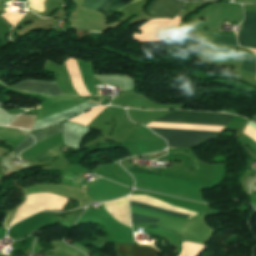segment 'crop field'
<instances>
[{
    "instance_id": "crop-field-1",
    "label": "crop field",
    "mask_w": 256,
    "mask_h": 256,
    "mask_svg": "<svg viewBox=\"0 0 256 256\" xmlns=\"http://www.w3.org/2000/svg\"><path fill=\"white\" fill-rule=\"evenodd\" d=\"M232 117L233 115L228 114L174 111L156 121L226 126ZM150 128L166 139L168 141V146L175 148L193 147L203 140L215 137L219 133L212 131Z\"/></svg>"
},
{
    "instance_id": "crop-field-2",
    "label": "crop field",
    "mask_w": 256,
    "mask_h": 256,
    "mask_svg": "<svg viewBox=\"0 0 256 256\" xmlns=\"http://www.w3.org/2000/svg\"><path fill=\"white\" fill-rule=\"evenodd\" d=\"M105 107L106 106L93 108L90 111L86 112L85 114L70 121L87 125ZM70 121L60 125L50 127L46 130L31 131L30 134H32L33 137H35V143H36L54 133L64 132L63 144H67L69 146L79 148L82 138L90 132V128L84 125L72 123ZM59 149H60V146L55 147L33 160L53 159L54 157L57 156Z\"/></svg>"
},
{
    "instance_id": "crop-field-3",
    "label": "crop field",
    "mask_w": 256,
    "mask_h": 256,
    "mask_svg": "<svg viewBox=\"0 0 256 256\" xmlns=\"http://www.w3.org/2000/svg\"><path fill=\"white\" fill-rule=\"evenodd\" d=\"M212 44L237 45L236 38L218 35ZM255 55L245 48L220 46L212 63L234 61L238 56ZM242 70L256 74V56H246Z\"/></svg>"
},
{
    "instance_id": "crop-field-4",
    "label": "crop field",
    "mask_w": 256,
    "mask_h": 256,
    "mask_svg": "<svg viewBox=\"0 0 256 256\" xmlns=\"http://www.w3.org/2000/svg\"><path fill=\"white\" fill-rule=\"evenodd\" d=\"M11 88L14 90L23 91V92H36L44 96H53V95L62 94L56 82L28 80V81L20 82L12 86Z\"/></svg>"
},
{
    "instance_id": "crop-field-5",
    "label": "crop field",
    "mask_w": 256,
    "mask_h": 256,
    "mask_svg": "<svg viewBox=\"0 0 256 256\" xmlns=\"http://www.w3.org/2000/svg\"><path fill=\"white\" fill-rule=\"evenodd\" d=\"M182 1L178 0H153L148 6L147 13L152 17H174L182 6Z\"/></svg>"
},
{
    "instance_id": "crop-field-6",
    "label": "crop field",
    "mask_w": 256,
    "mask_h": 256,
    "mask_svg": "<svg viewBox=\"0 0 256 256\" xmlns=\"http://www.w3.org/2000/svg\"><path fill=\"white\" fill-rule=\"evenodd\" d=\"M241 35H256V12L245 13ZM240 46L256 48V36L237 37Z\"/></svg>"
},
{
    "instance_id": "crop-field-7",
    "label": "crop field",
    "mask_w": 256,
    "mask_h": 256,
    "mask_svg": "<svg viewBox=\"0 0 256 256\" xmlns=\"http://www.w3.org/2000/svg\"><path fill=\"white\" fill-rule=\"evenodd\" d=\"M90 102H94V101H90ZM96 103H98V102H96ZM91 104H93V103L84 102V103H82V104H79V105H77V106H74V107H72V108H69V109H67V110H64V111H62V112H59V113H56V114H54V115H51V116L42 118V119H40V120H37L36 123H35V125H39V124H42V123H44V122H46V121H49V120H52V119L61 117V116L65 115V114H68V113H70V112L76 111V110H78V109H80V108H83V107L88 106V105H91ZM95 105H97V104H94V105L85 107V108H83V109H81V110H78V111L73 112V113H71V114L65 115V116H63V117H61V118H58V119L49 121V122H47V123H45V124H43V125L33 126V128H40V127H43V126L51 125L52 123H56V122H59V121L68 119V118H70V117H72V116H74V115H76V114H78V113H81V112H83V111H85V110H87V109H89L90 107L95 106Z\"/></svg>"
},
{
    "instance_id": "crop-field-8",
    "label": "crop field",
    "mask_w": 256,
    "mask_h": 256,
    "mask_svg": "<svg viewBox=\"0 0 256 256\" xmlns=\"http://www.w3.org/2000/svg\"><path fill=\"white\" fill-rule=\"evenodd\" d=\"M117 253L130 256H154L157 251L153 248H145L130 244L116 243Z\"/></svg>"
},
{
    "instance_id": "crop-field-9",
    "label": "crop field",
    "mask_w": 256,
    "mask_h": 256,
    "mask_svg": "<svg viewBox=\"0 0 256 256\" xmlns=\"http://www.w3.org/2000/svg\"><path fill=\"white\" fill-rule=\"evenodd\" d=\"M130 204L140 206V207H144V208H148V209H152V210H156V211H160V212L170 214V215L179 216V217L187 218L189 216V215H185V214H182V213L174 212V211L163 209V208H158V207H153V206H148V205H143V204H137V203H132V202H130ZM190 217H192V216H190ZM131 220H132V224L156 223L157 221H159L158 219L149 218V217H145V216H140V215H136V214H132V213H131Z\"/></svg>"
},
{
    "instance_id": "crop-field-10",
    "label": "crop field",
    "mask_w": 256,
    "mask_h": 256,
    "mask_svg": "<svg viewBox=\"0 0 256 256\" xmlns=\"http://www.w3.org/2000/svg\"><path fill=\"white\" fill-rule=\"evenodd\" d=\"M107 0H84L83 6L98 9L101 5H103ZM122 0H108L103 6H101L98 10L111 15L109 12L112 8H114L118 3Z\"/></svg>"
},
{
    "instance_id": "crop-field-11",
    "label": "crop field",
    "mask_w": 256,
    "mask_h": 256,
    "mask_svg": "<svg viewBox=\"0 0 256 256\" xmlns=\"http://www.w3.org/2000/svg\"><path fill=\"white\" fill-rule=\"evenodd\" d=\"M33 139L30 135H27V137L14 149V153L18 155L21 151H23L28 146L32 145Z\"/></svg>"
},
{
    "instance_id": "crop-field-12",
    "label": "crop field",
    "mask_w": 256,
    "mask_h": 256,
    "mask_svg": "<svg viewBox=\"0 0 256 256\" xmlns=\"http://www.w3.org/2000/svg\"><path fill=\"white\" fill-rule=\"evenodd\" d=\"M253 120L256 122V116H253Z\"/></svg>"
},
{
    "instance_id": "crop-field-13",
    "label": "crop field",
    "mask_w": 256,
    "mask_h": 256,
    "mask_svg": "<svg viewBox=\"0 0 256 256\" xmlns=\"http://www.w3.org/2000/svg\"><path fill=\"white\" fill-rule=\"evenodd\" d=\"M2 1H4V0H0V2H2Z\"/></svg>"
},
{
    "instance_id": "crop-field-14",
    "label": "crop field",
    "mask_w": 256,
    "mask_h": 256,
    "mask_svg": "<svg viewBox=\"0 0 256 256\" xmlns=\"http://www.w3.org/2000/svg\"><path fill=\"white\" fill-rule=\"evenodd\" d=\"M10 256V255H9Z\"/></svg>"
}]
</instances>
